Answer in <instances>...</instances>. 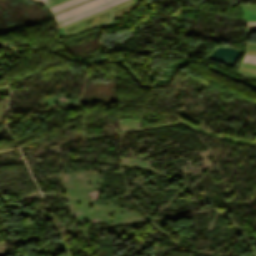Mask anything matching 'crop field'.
Instances as JSON below:
<instances>
[{
	"label": "crop field",
	"mask_w": 256,
	"mask_h": 256,
	"mask_svg": "<svg viewBox=\"0 0 256 256\" xmlns=\"http://www.w3.org/2000/svg\"><path fill=\"white\" fill-rule=\"evenodd\" d=\"M80 1H82V0H77V1H74V2L69 3V4H67V5H64V6H62V7H59V8H57V9L52 10V12H54V11H56V10H59V9H62V8H64V7H67V6H69V5H72V4H74V3L80 2Z\"/></svg>",
	"instance_id": "crop-field-7"
},
{
	"label": "crop field",
	"mask_w": 256,
	"mask_h": 256,
	"mask_svg": "<svg viewBox=\"0 0 256 256\" xmlns=\"http://www.w3.org/2000/svg\"><path fill=\"white\" fill-rule=\"evenodd\" d=\"M114 1H116V0H110V1H108L107 3L109 4V3L114 2Z\"/></svg>",
	"instance_id": "crop-field-10"
},
{
	"label": "crop field",
	"mask_w": 256,
	"mask_h": 256,
	"mask_svg": "<svg viewBox=\"0 0 256 256\" xmlns=\"http://www.w3.org/2000/svg\"><path fill=\"white\" fill-rule=\"evenodd\" d=\"M72 1H74V0H70V1H67V2H65V3H62V4H60V5H57V6H55V7H52V8H50V10H52V9H54V8H57V7H59V6H62V5H64V4H67V3H69V2H72Z\"/></svg>",
	"instance_id": "crop-field-8"
},
{
	"label": "crop field",
	"mask_w": 256,
	"mask_h": 256,
	"mask_svg": "<svg viewBox=\"0 0 256 256\" xmlns=\"http://www.w3.org/2000/svg\"><path fill=\"white\" fill-rule=\"evenodd\" d=\"M63 1H66V0H47L44 4L49 7V6H52V5H55V4H58V3H61Z\"/></svg>",
	"instance_id": "crop-field-4"
},
{
	"label": "crop field",
	"mask_w": 256,
	"mask_h": 256,
	"mask_svg": "<svg viewBox=\"0 0 256 256\" xmlns=\"http://www.w3.org/2000/svg\"><path fill=\"white\" fill-rule=\"evenodd\" d=\"M105 4H106V3L104 2V3L100 4V5H97V6H95V7H92V8H90V9L85 10V11H83V12H80V13H78V14H76V15H73V16L68 17V18H66V19H63V20H60V21H58L57 23L59 24V23H61V22H63V21H66V20L71 19V18H73V17H76V16H78V15H81V14H83V13H85V12H88V11H90V10H93V9H95V8H98V7H100V6H103V5H105Z\"/></svg>",
	"instance_id": "crop-field-3"
},
{
	"label": "crop field",
	"mask_w": 256,
	"mask_h": 256,
	"mask_svg": "<svg viewBox=\"0 0 256 256\" xmlns=\"http://www.w3.org/2000/svg\"><path fill=\"white\" fill-rule=\"evenodd\" d=\"M244 61L245 62L256 63V56L246 55Z\"/></svg>",
	"instance_id": "crop-field-6"
},
{
	"label": "crop field",
	"mask_w": 256,
	"mask_h": 256,
	"mask_svg": "<svg viewBox=\"0 0 256 256\" xmlns=\"http://www.w3.org/2000/svg\"><path fill=\"white\" fill-rule=\"evenodd\" d=\"M102 2H104V0H93V1H91V2H88V3L83 4V5H81V6L75 7V8H73V9H70V10L65 11V12H63V13L57 14V15H55L54 17H55L56 21H58V20H60V19H63V18H65V17H68V16H70V15H72V14H75V13H77V12H80V11H82V10H85V9H87V8H90V7L94 6V5H97V4L102 3Z\"/></svg>",
	"instance_id": "crop-field-1"
},
{
	"label": "crop field",
	"mask_w": 256,
	"mask_h": 256,
	"mask_svg": "<svg viewBox=\"0 0 256 256\" xmlns=\"http://www.w3.org/2000/svg\"><path fill=\"white\" fill-rule=\"evenodd\" d=\"M123 1H126V0H119V1H116V2H114V3H111V4H109V7H111V6H113V5H116V4H118V3H121V2H123Z\"/></svg>",
	"instance_id": "crop-field-9"
},
{
	"label": "crop field",
	"mask_w": 256,
	"mask_h": 256,
	"mask_svg": "<svg viewBox=\"0 0 256 256\" xmlns=\"http://www.w3.org/2000/svg\"><path fill=\"white\" fill-rule=\"evenodd\" d=\"M105 8H107V5H105V6H103V7H100V8H98V9H95V10H93V11H91V12L86 13V14H83V15H81V16H78V17H76V18H73V19H71V20H69V21H66V22H64V23H61L60 25L62 26V25H64V24H67V23L72 22V21H74V20H77V19H79V18L85 17V16H87V15H90V14H92V13H95V12L100 11V10L105 9Z\"/></svg>",
	"instance_id": "crop-field-2"
},
{
	"label": "crop field",
	"mask_w": 256,
	"mask_h": 256,
	"mask_svg": "<svg viewBox=\"0 0 256 256\" xmlns=\"http://www.w3.org/2000/svg\"><path fill=\"white\" fill-rule=\"evenodd\" d=\"M37 1H40V2H43V3H44L46 0H37Z\"/></svg>",
	"instance_id": "crop-field-11"
},
{
	"label": "crop field",
	"mask_w": 256,
	"mask_h": 256,
	"mask_svg": "<svg viewBox=\"0 0 256 256\" xmlns=\"http://www.w3.org/2000/svg\"><path fill=\"white\" fill-rule=\"evenodd\" d=\"M249 32H256V22H246Z\"/></svg>",
	"instance_id": "crop-field-5"
},
{
	"label": "crop field",
	"mask_w": 256,
	"mask_h": 256,
	"mask_svg": "<svg viewBox=\"0 0 256 256\" xmlns=\"http://www.w3.org/2000/svg\"><path fill=\"white\" fill-rule=\"evenodd\" d=\"M108 1V0H107Z\"/></svg>",
	"instance_id": "crop-field-12"
}]
</instances>
